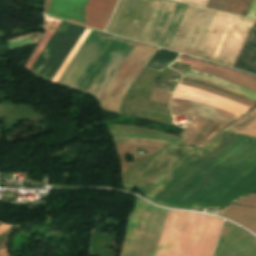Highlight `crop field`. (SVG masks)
<instances>
[{"instance_id":"obj_11","label":"crop field","mask_w":256,"mask_h":256,"mask_svg":"<svg viewBox=\"0 0 256 256\" xmlns=\"http://www.w3.org/2000/svg\"><path fill=\"white\" fill-rule=\"evenodd\" d=\"M219 215L229 218L256 232V208L233 204L222 209Z\"/></svg>"},{"instance_id":"obj_26","label":"crop field","mask_w":256,"mask_h":256,"mask_svg":"<svg viewBox=\"0 0 256 256\" xmlns=\"http://www.w3.org/2000/svg\"><path fill=\"white\" fill-rule=\"evenodd\" d=\"M0 256H9L7 248H4V249L0 250Z\"/></svg>"},{"instance_id":"obj_6","label":"crop field","mask_w":256,"mask_h":256,"mask_svg":"<svg viewBox=\"0 0 256 256\" xmlns=\"http://www.w3.org/2000/svg\"><path fill=\"white\" fill-rule=\"evenodd\" d=\"M92 0H48L45 14L81 22ZM118 0H93L80 24L104 30ZM70 21V20H69ZM74 22V21H73ZM78 23V22H76Z\"/></svg>"},{"instance_id":"obj_16","label":"crop field","mask_w":256,"mask_h":256,"mask_svg":"<svg viewBox=\"0 0 256 256\" xmlns=\"http://www.w3.org/2000/svg\"><path fill=\"white\" fill-rule=\"evenodd\" d=\"M58 23H59V20H55V19H51V18L49 20H46V33L43 36V38L41 39V41L38 44V46L36 47V49L34 50L30 59L26 63L25 68L29 69V67L35 60L36 56L38 55V53L40 52V50L42 49V47L44 46V44L46 43V41L48 40V38L50 37V35L52 34L53 30L55 29V27L57 26Z\"/></svg>"},{"instance_id":"obj_5","label":"crop field","mask_w":256,"mask_h":256,"mask_svg":"<svg viewBox=\"0 0 256 256\" xmlns=\"http://www.w3.org/2000/svg\"><path fill=\"white\" fill-rule=\"evenodd\" d=\"M157 49L136 43L118 71L98 98L101 108L118 112L129 87Z\"/></svg>"},{"instance_id":"obj_8","label":"crop field","mask_w":256,"mask_h":256,"mask_svg":"<svg viewBox=\"0 0 256 256\" xmlns=\"http://www.w3.org/2000/svg\"><path fill=\"white\" fill-rule=\"evenodd\" d=\"M176 89H177V92L173 98H183V99L203 102V103L224 109L226 111H229L239 116L247 113V111L251 109L236 101H233V100H230L206 91H202L196 88L178 84ZM181 91H183L184 93H181Z\"/></svg>"},{"instance_id":"obj_2","label":"crop field","mask_w":256,"mask_h":256,"mask_svg":"<svg viewBox=\"0 0 256 256\" xmlns=\"http://www.w3.org/2000/svg\"><path fill=\"white\" fill-rule=\"evenodd\" d=\"M223 220L168 211L155 256H212Z\"/></svg>"},{"instance_id":"obj_24","label":"crop field","mask_w":256,"mask_h":256,"mask_svg":"<svg viewBox=\"0 0 256 256\" xmlns=\"http://www.w3.org/2000/svg\"><path fill=\"white\" fill-rule=\"evenodd\" d=\"M246 16L256 18V0H253Z\"/></svg>"},{"instance_id":"obj_20","label":"crop field","mask_w":256,"mask_h":256,"mask_svg":"<svg viewBox=\"0 0 256 256\" xmlns=\"http://www.w3.org/2000/svg\"><path fill=\"white\" fill-rule=\"evenodd\" d=\"M171 95L172 94L164 92L163 89H159V88L155 87L150 100L151 101H157V102H163V103L168 104Z\"/></svg>"},{"instance_id":"obj_3","label":"crop field","mask_w":256,"mask_h":256,"mask_svg":"<svg viewBox=\"0 0 256 256\" xmlns=\"http://www.w3.org/2000/svg\"><path fill=\"white\" fill-rule=\"evenodd\" d=\"M254 21L218 12L196 57L232 67Z\"/></svg>"},{"instance_id":"obj_19","label":"crop field","mask_w":256,"mask_h":256,"mask_svg":"<svg viewBox=\"0 0 256 256\" xmlns=\"http://www.w3.org/2000/svg\"><path fill=\"white\" fill-rule=\"evenodd\" d=\"M115 142H124V143H139V144H148L154 145L161 148H164L167 142L159 140H147V139H135V138H122V137H113ZM167 146V145H166Z\"/></svg>"},{"instance_id":"obj_9","label":"crop field","mask_w":256,"mask_h":256,"mask_svg":"<svg viewBox=\"0 0 256 256\" xmlns=\"http://www.w3.org/2000/svg\"><path fill=\"white\" fill-rule=\"evenodd\" d=\"M170 107L172 113L197 115L225 126L229 125L238 118V116L218 108L188 100L172 99Z\"/></svg>"},{"instance_id":"obj_14","label":"crop field","mask_w":256,"mask_h":256,"mask_svg":"<svg viewBox=\"0 0 256 256\" xmlns=\"http://www.w3.org/2000/svg\"><path fill=\"white\" fill-rule=\"evenodd\" d=\"M115 144L119 154L120 163L127 162L125 159V153H131L133 154L134 160L137 159V146L143 147V149L149 152L147 154L156 152L161 149L153 146L139 145V144H124V143H115ZM147 154L140 155V157Z\"/></svg>"},{"instance_id":"obj_10","label":"crop field","mask_w":256,"mask_h":256,"mask_svg":"<svg viewBox=\"0 0 256 256\" xmlns=\"http://www.w3.org/2000/svg\"><path fill=\"white\" fill-rule=\"evenodd\" d=\"M177 61L192 64L190 67L191 69L206 72L233 83L238 82L236 84L245 86L249 89L256 91V79L246 74L239 73L236 71H232L226 68L204 63V62L197 61V60L190 59L183 56H181Z\"/></svg>"},{"instance_id":"obj_27","label":"crop field","mask_w":256,"mask_h":256,"mask_svg":"<svg viewBox=\"0 0 256 256\" xmlns=\"http://www.w3.org/2000/svg\"><path fill=\"white\" fill-rule=\"evenodd\" d=\"M131 163H126L121 165L122 174L125 172V170L130 166Z\"/></svg>"},{"instance_id":"obj_7","label":"crop field","mask_w":256,"mask_h":256,"mask_svg":"<svg viewBox=\"0 0 256 256\" xmlns=\"http://www.w3.org/2000/svg\"><path fill=\"white\" fill-rule=\"evenodd\" d=\"M216 13L189 5L167 49L195 57Z\"/></svg>"},{"instance_id":"obj_12","label":"crop field","mask_w":256,"mask_h":256,"mask_svg":"<svg viewBox=\"0 0 256 256\" xmlns=\"http://www.w3.org/2000/svg\"><path fill=\"white\" fill-rule=\"evenodd\" d=\"M235 68L256 75V26Z\"/></svg>"},{"instance_id":"obj_18","label":"crop field","mask_w":256,"mask_h":256,"mask_svg":"<svg viewBox=\"0 0 256 256\" xmlns=\"http://www.w3.org/2000/svg\"><path fill=\"white\" fill-rule=\"evenodd\" d=\"M89 32L90 30L86 29L84 34L82 33L83 34L82 37L80 36L81 37L80 40L78 39L79 41L77 42V44L75 45V47L73 48V50L71 51V53L69 54L65 62L63 63V65L61 66V68L58 70V72L52 79V82L56 83V81L58 80V78L60 77V75L62 74V72L64 71V69L66 68V66L68 65V63L70 62V60L72 59V57L74 56V54L76 53V51L78 50V48L80 47V45L82 44V42L84 41V39L86 38Z\"/></svg>"},{"instance_id":"obj_23","label":"crop field","mask_w":256,"mask_h":256,"mask_svg":"<svg viewBox=\"0 0 256 256\" xmlns=\"http://www.w3.org/2000/svg\"><path fill=\"white\" fill-rule=\"evenodd\" d=\"M234 203L256 206V194L240 198Z\"/></svg>"},{"instance_id":"obj_13","label":"crop field","mask_w":256,"mask_h":256,"mask_svg":"<svg viewBox=\"0 0 256 256\" xmlns=\"http://www.w3.org/2000/svg\"><path fill=\"white\" fill-rule=\"evenodd\" d=\"M252 0H210L207 8L245 16Z\"/></svg>"},{"instance_id":"obj_21","label":"crop field","mask_w":256,"mask_h":256,"mask_svg":"<svg viewBox=\"0 0 256 256\" xmlns=\"http://www.w3.org/2000/svg\"><path fill=\"white\" fill-rule=\"evenodd\" d=\"M187 72H190V73H193V74H196V75H199V76L208 78V79H212V80L219 81V82H221V83L227 84V85L232 86V87H235V88H237V89L245 90V91H247V92H249V93H251V94H253V95L256 96V92H254V91H252V90H249V89H247V88H245V87L232 84V83H230V82H227V81L218 79V78L213 77V76H210V75H206V74H202V73H199V72H195V71H193V70L187 69Z\"/></svg>"},{"instance_id":"obj_15","label":"crop field","mask_w":256,"mask_h":256,"mask_svg":"<svg viewBox=\"0 0 256 256\" xmlns=\"http://www.w3.org/2000/svg\"><path fill=\"white\" fill-rule=\"evenodd\" d=\"M178 56V54L158 50L154 58L146 66L147 68L161 71L166 68Z\"/></svg>"},{"instance_id":"obj_4","label":"crop field","mask_w":256,"mask_h":256,"mask_svg":"<svg viewBox=\"0 0 256 256\" xmlns=\"http://www.w3.org/2000/svg\"><path fill=\"white\" fill-rule=\"evenodd\" d=\"M167 211L137 199L120 256H154Z\"/></svg>"},{"instance_id":"obj_22","label":"crop field","mask_w":256,"mask_h":256,"mask_svg":"<svg viewBox=\"0 0 256 256\" xmlns=\"http://www.w3.org/2000/svg\"><path fill=\"white\" fill-rule=\"evenodd\" d=\"M180 83L186 84V85H190V86H194V87H197V88H200V89H203V90H206V91H209V92H212V93H215V94H218V95H221V96H224V97L233 99V100H236V101H238V102H240V103H243V104H245V105H247V106H249V107H251V108L255 107V105H252V104H250V103L241 101V100H239V99L233 98V97H231V96L225 95V94H223V93L217 92V91H215V90H212V89H209V88L200 86V85H196V84H192V83H187V82H183V81H181Z\"/></svg>"},{"instance_id":"obj_1","label":"crop field","mask_w":256,"mask_h":256,"mask_svg":"<svg viewBox=\"0 0 256 256\" xmlns=\"http://www.w3.org/2000/svg\"><path fill=\"white\" fill-rule=\"evenodd\" d=\"M256 137V110L229 126ZM201 150L169 146L148 166L137 186L147 198L165 206L239 134L230 128ZM240 134L166 206L189 209L213 207L256 166V138ZM256 190V167L215 206ZM214 206V207H215Z\"/></svg>"},{"instance_id":"obj_25","label":"crop field","mask_w":256,"mask_h":256,"mask_svg":"<svg viewBox=\"0 0 256 256\" xmlns=\"http://www.w3.org/2000/svg\"><path fill=\"white\" fill-rule=\"evenodd\" d=\"M10 227H12V226H10V225H2V226H0V234L5 232L6 230H8Z\"/></svg>"},{"instance_id":"obj_17","label":"crop field","mask_w":256,"mask_h":256,"mask_svg":"<svg viewBox=\"0 0 256 256\" xmlns=\"http://www.w3.org/2000/svg\"><path fill=\"white\" fill-rule=\"evenodd\" d=\"M197 117V116H196ZM207 122V119L197 117L195 121H193L189 128L187 129L182 144H190L191 141L196 137L199 131L202 129L204 124Z\"/></svg>"}]
</instances>
